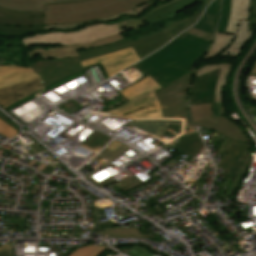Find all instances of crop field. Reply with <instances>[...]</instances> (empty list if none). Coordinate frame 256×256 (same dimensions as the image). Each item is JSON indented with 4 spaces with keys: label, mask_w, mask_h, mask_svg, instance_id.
<instances>
[{
    "label": "crop field",
    "mask_w": 256,
    "mask_h": 256,
    "mask_svg": "<svg viewBox=\"0 0 256 256\" xmlns=\"http://www.w3.org/2000/svg\"><path fill=\"white\" fill-rule=\"evenodd\" d=\"M138 60H140L139 57H137V54L135 53L134 49L130 47L122 51L91 58L82 61L81 63L84 67L101 61L110 77L118 73L119 71L125 69L126 67L130 66L131 64L135 63Z\"/></svg>",
    "instance_id": "obj_11"
},
{
    "label": "crop field",
    "mask_w": 256,
    "mask_h": 256,
    "mask_svg": "<svg viewBox=\"0 0 256 256\" xmlns=\"http://www.w3.org/2000/svg\"><path fill=\"white\" fill-rule=\"evenodd\" d=\"M219 69L196 77L190 89L189 106L196 104L212 103V119L223 114V103H215L214 89Z\"/></svg>",
    "instance_id": "obj_10"
},
{
    "label": "crop field",
    "mask_w": 256,
    "mask_h": 256,
    "mask_svg": "<svg viewBox=\"0 0 256 256\" xmlns=\"http://www.w3.org/2000/svg\"><path fill=\"white\" fill-rule=\"evenodd\" d=\"M159 88L162 86L147 76L120 91L130 101L105 112L124 118H162L159 102L154 93Z\"/></svg>",
    "instance_id": "obj_5"
},
{
    "label": "crop field",
    "mask_w": 256,
    "mask_h": 256,
    "mask_svg": "<svg viewBox=\"0 0 256 256\" xmlns=\"http://www.w3.org/2000/svg\"><path fill=\"white\" fill-rule=\"evenodd\" d=\"M185 127L191 128V129H195V128L190 124V121H189V120H186ZM195 130H196V129H195Z\"/></svg>",
    "instance_id": "obj_36"
},
{
    "label": "crop field",
    "mask_w": 256,
    "mask_h": 256,
    "mask_svg": "<svg viewBox=\"0 0 256 256\" xmlns=\"http://www.w3.org/2000/svg\"><path fill=\"white\" fill-rule=\"evenodd\" d=\"M174 0H153L151 2H148L142 6H139L135 8L137 12L140 14V16L144 15L147 12H150L158 7H161L167 3H170Z\"/></svg>",
    "instance_id": "obj_26"
},
{
    "label": "crop field",
    "mask_w": 256,
    "mask_h": 256,
    "mask_svg": "<svg viewBox=\"0 0 256 256\" xmlns=\"http://www.w3.org/2000/svg\"><path fill=\"white\" fill-rule=\"evenodd\" d=\"M148 1L151 0H90L46 5L44 25L95 20L135 8Z\"/></svg>",
    "instance_id": "obj_3"
},
{
    "label": "crop field",
    "mask_w": 256,
    "mask_h": 256,
    "mask_svg": "<svg viewBox=\"0 0 256 256\" xmlns=\"http://www.w3.org/2000/svg\"><path fill=\"white\" fill-rule=\"evenodd\" d=\"M127 149H129V148L127 146H125L124 144L122 146H120L117 150H115L114 152L105 148L98 156L106 159L107 161H106L105 165H107L108 163L113 161L115 158H117L121 153H123Z\"/></svg>",
    "instance_id": "obj_27"
},
{
    "label": "crop field",
    "mask_w": 256,
    "mask_h": 256,
    "mask_svg": "<svg viewBox=\"0 0 256 256\" xmlns=\"http://www.w3.org/2000/svg\"><path fill=\"white\" fill-rule=\"evenodd\" d=\"M168 123L181 126L182 121L144 120L132 121L129 124L161 138Z\"/></svg>",
    "instance_id": "obj_22"
},
{
    "label": "crop field",
    "mask_w": 256,
    "mask_h": 256,
    "mask_svg": "<svg viewBox=\"0 0 256 256\" xmlns=\"http://www.w3.org/2000/svg\"><path fill=\"white\" fill-rule=\"evenodd\" d=\"M19 132L11 128L9 125L0 120V134L6 135L10 138L17 135Z\"/></svg>",
    "instance_id": "obj_30"
},
{
    "label": "crop field",
    "mask_w": 256,
    "mask_h": 256,
    "mask_svg": "<svg viewBox=\"0 0 256 256\" xmlns=\"http://www.w3.org/2000/svg\"><path fill=\"white\" fill-rule=\"evenodd\" d=\"M106 247L107 246H85L78 249L70 256H100L107 250Z\"/></svg>",
    "instance_id": "obj_25"
},
{
    "label": "crop field",
    "mask_w": 256,
    "mask_h": 256,
    "mask_svg": "<svg viewBox=\"0 0 256 256\" xmlns=\"http://www.w3.org/2000/svg\"><path fill=\"white\" fill-rule=\"evenodd\" d=\"M140 17L138 13L135 11V9L116 14L110 17L98 19L95 21H90V22H82V23H74V24H66V25H50V26H45L46 31H63V30H74L77 28H80L86 24L92 23V22H104L105 24H114V23H119L122 21H126L129 19L137 18Z\"/></svg>",
    "instance_id": "obj_17"
},
{
    "label": "crop field",
    "mask_w": 256,
    "mask_h": 256,
    "mask_svg": "<svg viewBox=\"0 0 256 256\" xmlns=\"http://www.w3.org/2000/svg\"><path fill=\"white\" fill-rule=\"evenodd\" d=\"M211 0H204L201 7L195 11L191 16H189L188 19H184L178 23H175L173 25H170L166 27L164 31L155 33L153 35L146 36L144 38H141L137 41H132V40H125L121 43L113 44V45H108V46H103V47H98V48H93L85 51H80V59L85 60L91 57L103 55L106 53L118 51L125 49L127 47L132 46L138 56L143 58L144 56L148 55L152 51L162 47L164 44H166L171 38L176 36L178 33H180L182 30L188 28L191 26L193 23L196 22L198 19L199 15L201 12L204 10L205 6L210 2Z\"/></svg>",
    "instance_id": "obj_4"
},
{
    "label": "crop field",
    "mask_w": 256,
    "mask_h": 256,
    "mask_svg": "<svg viewBox=\"0 0 256 256\" xmlns=\"http://www.w3.org/2000/svg\"><path fill=\"white\" fill-rule=\"evenodd\" d=\"M167 146L182 151L193 158V156L204 146V144L197 131L185 128V134Z\"/></svg>",
    "instance_id": "obj_15"
},
{
    "label": "crop field",
    "mask_w": 256,
    "mask_h": 256,
    "mask_svg": "<svg viewBox=\"0 0 256 256\" xmlns=\"http://www.w3.org/2000/svg\"><path fill=\"white\" fill-rule=\"evenodd\" d=\"M245 142L232 141V145L218 167L226 170L225 175L234 178L245 156Z\"/></svg>",
    "instance_id": "obj_14"
},
{
    "label": "crop field",
    "mask_w": 256,
    "mask_h": 256,
    "mask_svg": "<svg viewBox=\"0 0 256 256\" xmlns=\"http://www.w3.org/2000/svg\"><path fill=\"white\" fill-rule=\"evenodd\" d=\"M33 71L31 68H23L16 66H0V75L3 74H15L21 72Z\"/></svg>",
    "instance_id": "obj_29"
},
{
    "label": "crop field",
    "mask_w": 256,
    "mask_h": 256,
    "mask_svg": "<svg viewBox=\"0 0 256 256\" xmlns=\"http://www.w3.org/2000/svg\"><path fill=\"white\" fill-rule=\"evenodd\" d=\"M191 79L192 73L190 72L179 79L180 81L172 83L156 92L163 118H189L187 112V91Z\"/></svg>",
    "instance_id": "obj_7"
},
{
    "label": "crop field",
    "mask_w": 256,
    "mask_h": 256,
    "mask_svg": "<svg viewBox=\"0 0 256 256\" xmlns=\"http://www.w3.org/2000/svg\"><path fill=\"white\" fill-rule=\"evenodd\" d=\"M0 119L18 131L17 126L14 123H12L10 120H8L5 116H3L1 113H0Z\"/></svg>",
    "instance_id": "obj_34"
},
{
    "label": "crop field",
    "mask_w": 256,
    "mask_h": 256,
    "mask_svg": "<svg viewBox=\"0 0 256 256\" xmlns=\"http://www.w3.org/2000/svg\"><path fill=\"white\" fill-rule=\"evenodd\" d=\"M184 32H186V33H188V34H191V35H193V36H196V37H200V38H204V39H207V40H211V38H212V36L213 35H211V34H207V33H204V32H202V31H200V30H197V29H193V28H190V29H188V30H186V31H184Z\"/></svg>",
    "instance_id": "obj_32"
},
{
    "label": "crop field",
    "mask_w": 256,
    "mask_h": 256,
    "mask_svg": "<svg viewBox=\"0 0 256 256\" xmlns=\"http://www.w3.org/2000/svg\"><path fill=\"white\" fill-rule=\"evenodd\" d=\"M192 123L210 129L233 140L248 141L243 132L222 116L211 120V104L191 106Z\"/></svg>",
    "instance_id": "obj_8"
},
{
    "label": "crop field",
    "mask_w": 256,
    "mask_h": 256,
    "mask_svg": "<svg viewBox=\"0 0 256 256\" xmlns=\"http://www.w3.org/2000/svg\"><path fill=\"white\" fill-rule=\"evenodd\" d=\"M232 64H215V65H208L200 70H197L195 72V77L202 75L208 71L217 69L219 67H221L220 73H219V77H218V81H217V85H216V90H215V100L216 102H223V98H222V89L225 87V84L228 80V76H229V72L231 69Z\"/></svg>",
    "instance_id": "obj_21"
},
{
    "label": "crop field",
    "mask_w": 256,
    "mask_h": 256,
    "mask_svg": "<svg viewBox=\"0 0 256 256\" xmlns=\"http://www.w3.org/2000/svg\"><path fill=\"white\" fill-rule=\"evenodd\" d=\"M250 74H255V75H256V62H255V64H254V66H253V68H252Z\"/></svg>",
    "instance_id": "obj_37"
},
{
    "label": "crop field",
    "mask_w": 256,
    "mask_h": 256,
    "mask_svg": "<svg viewBox=\"0 0 256 256\" xmlns=\"http://www.w3.org/2000/svg\"><path fill=\"white\" fill-rule=\"evenodd\" d=\"M30 67L40 75L44 88L83 70L79 58L45 60L32 63Z\"/></svg>",
    "instance_id": "obj_9"
},
{
    "label": "crop field",
    "mask_w": 256,
    "mask_h": 256,
    "mask_svg": "<svg viewBox=\"0 0 256 256\" xmlns=\"http://www.w3.org/2000/svg\"><path fill=\"white\" fill-rule=\"evenodd\" d=\"M43 13L0 9V36L21 37L45 32Z\"/></svg>",
    "instance_id": "obj_6"
},
{
    "label": "crop field",
    "mask_w": 256,
    "mask_h": 256,
    "mask_svg": "<svg viewBox=\"0 0 256 256\" xmlns=\"http://www.w3.org/2000/svg\"><path fill=\"white\" fill-rule=\"evenodd\" d=\"M180 132H181V127L169 124L164 133V136L173 138V137L177 136L178 134H180Z\"/></svg>",
    "instance_id": "obj_31"
},
{
    "label": "crop field",
    "mask_w": 256,
    "mask_h": 256,
    "mask_svg": "<svg viewBox=\"0 0 256 256\" xmlns=\"http://www.w3.org/2000/svg\"><path fill=\"white\" fill-rule=\"evenodd\" d=\"M37 73L35 72H28V73H22V74H16V75H3L0 76V88L18 83L30 78L37 77Z\"/></svg>",
    "instance_id": "obj_24"
},
{
    "label": "crop field",
    "mask_w": 256,
    "mask_h": 256,
    "mask_svg": "<svg viewBox=\"0 0 256 256\" xmlns=\"http://www.w3.org/2000/svg\"><path fill=\"white\" fill-rule=\"evenodd\" d=\"M209 43L183 32L159 52L133 66L164 87L189 73Z\"/></svg>",
    "instance_id": "obj_2"
},
{
    "label": "crop field",
    "mask_w": 256,
    "mask_h": 256,
    "mask_svg": "<svg viewBox=\"0 0 256 256\" xmlns=\"http://www.w3.org/2000/svg\"><path fill=\"white\" fill-rule=\"evenodd\" d=\"M149 23L143 17L115 25L93 23L75 31L48 32L23 37L30 59L38 54L41 60L79 57L77 51L125 40L121 33Z\"/></svg>",
    "instance_id": "obj_1"
},
{
    "label": "crop field",
    "mask_w": 256,
    "mask_h": 256,
    "mask_svg": "<svg viewBox=\"0 0 256 256\" xmlns=\"http://www.w3.org/2000/svg\"><path fill=\"white\" fill-rule=\"evenodd\" d=\"M42 89L39 77L0 89V107L4 108Z\"/></svg>",
    "instance_id": "obj_12"
},
{
    "label": "crop field",
    "mask_w": 256,
    "mask_h": 256,
    "mask_svg": "<svg viewBox=\"0 0 256 256\" xmlns=\"http://www.w3.org/2000/svg\"><path fill=\"white\" fill-rule=\"evenodd\" d=\"M43 3H55V0H0V7L13 11H44Z\"/></svg>",
    "instance_id": "obj_20"
},
{
    "label": "crop field",
    "mask_w": 256,
    "mask_h": 256,
    "mask_svg": "<svg viewBox=\"0 0 256 256\" xmlns=\"http://www.w3.org/2000/svg\"><path fill=\"white\" fill-rule=\"evenodd\" d=\"M256 0L251 1V11L249 21L241 20L238 33L231 44L219 55L238 56L244 45L249 40L252 32L256 30Z\"/></svg>",
    "instance_id": "obj_13"
},
{
    "label": "crop field",
    "mask_w": 256,
    "mask_h": 256,
    "mask_svg": "<svg viewBox=\"0 0 256 256\" xmlns=\"http://www.w3.org/2000/svg\"><path fill=\"white\" fill-rule=\"evenodd\" d=\"M0 256H11V243L0 247Z\"/></svg>",
    "instance_id": "obj_33"
},
{
    "label": "crop field",
    "mask_w": 256,
    "mask_h": 256,
    "mask_svg": "<svg viewBox=\"0 0 256 256\" xmlns=\"http://www.w3.org/2000/svg\"><path fill=\"white\" fill-rule=\"evenodd\" d=\"M76 1H82V0H56V3H60V2H76Z\"/></svg>",
    "instance_id": "obj_35"
},
{
    "label": "crop field",
    "mask_w": 256,
    "mask_h": 256,
    "mask_svg": "<svg viewBox=\"0 0 256 256\" xmlns=\"http://www.w3.org/2000/svg\"><path fill=\"white\" fill-rule=\"evenodd\" d=\"M105 234H109L110 238H148L146 235L133 227L108 228L105 229Z\"/></svg>",
    "instance_id": "obj_23"
},
{
    "label": "crop field",
    "mask_w": 256,
    "mask_h": 256,
    "mask_svg": "<svg viewBox=\"0 0 256 256\" xmlns=\"http://www.w3.org/2000/svg\"><path fill=\"white\" fill-rule=\"evenodd\" d=\"M229 10H230V0H223L222 13H221V18H220V22H219L217 31L224 32L226 24H227Z\"/></svg>",
    "instance_id": "obj_28"
},
{
    "label": "crop field",
    "mask_w": 256,
    "mask_h": 256,
    "mask_svg": "<svg viewBox=\"0 0 256 256\" xmlns=\"http://www.w3.org/2000/svg\"><path fill=\"white\" fill-rule=\"evenodd\" d=\"M221 0H214L206 9L200 21L193 28L200 29L204 32L214 33L217 24Z\"/></svg>",
    "instance_id": "obj_19"
},
{
    "label": "crop field",
    "mask_w": 256,
    "mask_h": 256,
    "mask_svg": "<svg viewBox=\"0 0 256 256\" xmlns=\"http://www.w3.org/2000/svg\"><path fill=\"white\" fill-rule=\"evenodd\" d=\"M250 0H231V10L225 33L236 34L240 19L248 20Z\"/></svg>",
    "instance_id": "obj_16"
},
{
    "label": "crop field",
    "mask_w": 256,
    "mask_h": 256,
    "mask_svg": "<svg viewBox=\"0 0 256 256\" xmlns=\"http://www.w3.org/2000/svg\"><path fill=\"white\" fill-rule=\"evenodd\" d=\"M202 0H178L169 5L161 7L148 15L144 16L147 21L152 24L154 22L175 16L176 13L196 2H201Z\"/></svg>",
    "instance_id": "obj_18"
}]
</instances>
